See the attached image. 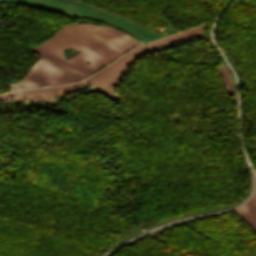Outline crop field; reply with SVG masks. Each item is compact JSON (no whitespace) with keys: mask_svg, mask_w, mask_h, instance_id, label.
I'll use <instances>...</instances> for the list:
<instances>
[{"mask_svg":"<svg viewBox=\"0 0 256 256\" xmlns=\"http://www.w3.org/2000/svg\"><path fill=\"white\" fill-rule=\"evenodd\" d=\"M138 45L140 42L129 35L77 24L62 27L52 38L35 48L84 78ZM69 46L81 53L67 61L57 54ZM88 62L90 64L87 65Z\"/></svg>","mask_w":256,"mask_h":256,"instance_id":"crop-field-1","label":"crop field"},{"mask_svg":"<svg viewBox=\"0 0 256 256\" xmlns=\"http://www.w3.org/2000/svg\"><path fill=\"white\" fill-rule=\"evenodd\" d=\"M150 51L148 47L144 44L128 54L124 55L123 57L116 60L106 69L92 75L91 77L87 78L86 82L93 85L99 90H103L107 87L113 80H115L121 73H123L127 66L130 63H133L134 60L142 53Z\"/></svg>","mask_w":256,"mask_h":256,"instance_id":"crop-field-2","label":"crop field"},{"mask_svg":"<svg viewBox=\"0 0 256 256\" xmlns=\"http://www.w3.org/2000/svg\"><path fill=\"white\" fill-rule=\"evenodd\" d=\"M198 38H205L204 24L197 28L184 31L155 42L147 43V45L152 50L164 49Z\"/></svg>","mask_w":256,"mask_h":256,"instance_id":"crop-field-3","label":"crop field"},{"mask_svg":"<svg viewBox=\"0 0 256 256\" xmlns=\"http://www.w3.org/2000/svg\"><path fill=\"white\" fill-rule=\"evenodd\" d=\"M254 179H255V189L252 197L245 203L234 207L237 214L243 218L247 223H249L256 231V174L251 167Z\"/></svg>","mask_w":256,"mask_h":256,"instance_id":"crop-field-4","label":"crop field"}]
</instances>
